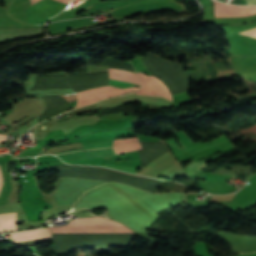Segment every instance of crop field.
Instances as JSON below:
<instances>
[{
    "instance_id": "obj_1",
    "label": "crop field",
    "mask_w": 256,
    "mask_h": 256,
    "mask_svg": "<svg viewBox=\"0 0 256 256\" xmlns=\"http://www.w3.org/2000/svg\"><path fill=\"white\" fill-rule=\"evenodd\" d=\"M70 224V221H69ZM71 225H121L118 222L102 218L76 219ZM52 233H123L133 232L125 226H49Z\"/></svg>"
},
{
    "instance_id": "obj_10",
    "label": "crop field",
    "mask_w": 256,
    "mask_h": 256,
    "mask_svg": "<svg viewBox=\"0 0 256 256\" xmlns=\"http://www.w3.org/2000/svg\"><path fill=\"white\" fill-rule=\"evenodd\" d=\"M229 2L233 4H246V0H232Z\"/></svg>"
},
{
    "instance_id": "obj_4",
    "label": "crop field",
    "mask_w": 256,
    "mask_h": 256,
    "mask_svg": "<svg viewBox=\"0 0 256 256\" xmlns=\"http://www.w3.org/2000/svg\"><path fill=\"white\" fill-rule=\"evenodd\" d=\"M17 213L0 214V232L17 230Z\"/></svg>"
},
{
    "instance_id": "obj_8",
    "label": "crop field",
    "mask_w": 256,
    "mask_h": 256,
    "mask_svg": "<svg viewBox=\"0 0 256 256\" xmlns=\"http://www.w3.org/2000/svg\"><path fill=\"white\" fill-rule=\"evenodd\" d=\"M239 34H243V35H247V36H251V37H255L256 38V28H252V29L246 30V31L241 32Z\"/></svg>"
},
{
    "instance_id": "obj_6",
    "label": "crop field",
    "mask_w": 256,
    "mask_h": 256,
    "mask_svg": "<svg viewBox=\"0 0 256 256\" xmlns=\"http://www.w3.org/2000/svg\"><path fill=\"white\" fill-rule=\"evenodd\" d=\"M114 140L110 141H102V142H94V143H86L82 144L84 149H90V148H104V147H110L113 145ZM82 150V149H80ZM77 151V150H73ZM67 152H72V151H67ZM61 153H66V152H61ZM61 153H56V154H61Z\"/></svg>"
},
{
    "instance_id": "obj_3",
    "label": "crop field",
    "mask_w": 256,
    "mask_h": 256,
    "mask_svg": "<svg viewBox=\"0 0 256 256\" xmlns=\"http://www.w3.org/2000/svg\"><path fill=\"white\" fill-rule=\"evenodd\" d=\"M48 236H51L48 228L11 234L13 242L48 237Z\"/></svg>"
},
{
    "instance_id": "obj_5",
    "label": "crop field",
    "mask_w": 256,
    "mask_h": 256,
    "mask_svg": "<svg viewBox=\"0 0 256 256\" xmlns=\"http://www.w3.org/2000/svg\"><path fill=\"white\" fill-rule=\"evenodd\" d=\"M225 140H228L227 137L222 135L219 138L213 140L212 142H209V143L203 142V143L197 144V145H195V146H193V147H191V148H189L185 151L190 155V154H192V153H194V152H196V151H198V150H200L204 147H207V146L212 145V144L220 143V142L225 141Z\"/></svg>"
},
{
    "instance_id": "obj_9",
    "label": "crop field",
    "mask_w": 256,
    "mask_h": 256,
    "mask_svg": "<svg viewBox=\"0 0 256 256\" xmlns=\"http://www.w3.org/2000/svg\"><path fill=\"white\" fill-rule=\"evenodd\" d=\"M3 188V175H2V169L0 167V193L2 191Z\"/></svg>"
},
{
    "instance_id": "obj_12",
    "label": "crop field",
    "mask_w": 256,
    "mask_h": 256,
    "mask_svg": "<svg viewBox=\"0 0 256 256\" xmlns=\"http://www.w3.org/2000/svg\"><path fill=\"white\" fill-rule=\"evenodd\" d=\"M247 4H256V0H247Z\"/></svg>"
},
{
    "instance_id": "obj_7",
    "label": "crop field",
    "mask_w": 256,
    "mask_h": 256,
    "mask_svg": "<svg viewBox=\"0 0 256 256\" xmlns=\"http://www.w3.org/2000/svg\"><path fill=\"white\" fill-rule=\"evenodd\" d=\"M104 166L106 167H110V168H115V169H120V170H124V171H128L131 173H136L135 168L136 167H127V166H115V165H107L105 164Z\"/></svg>"
},
{
    "instance_id": "obj_11",
    "label": "crop field",
    "mask_w": 256,
    "mask_h": 256,
    "mask_svg": "<svg viewBox=\"0 0 256 256\" xmlns=\"http://www.w3.org/2000/svg\"><path fill=\"white\" fill-rule=\"evenodd\" d=\"M31 1V4H33V3H35V2H37V1H39V0H30ZM57 1H60V2H63V3H69L70 2V0H57Z\"/></svg>"
},
{
    "instance_id": "obj_2",
    "label": "crop field",
    "mask_w": 256,
    "mask_h": 256,
    "mask_svg": "<svg viewBox=\"0 0 256 256\" xmlns=\"http://www.w3.org/2000/svg\"><path fill=\"white\" fill-rule=\"evenodd\" d=\"M113 148H104L99 150H86L80 152H73L67 154L57 155L59 158L64 160L65 162L80 160L84 158H94V157H106L115 155Z\"/></svg>"
}]
</instances>
